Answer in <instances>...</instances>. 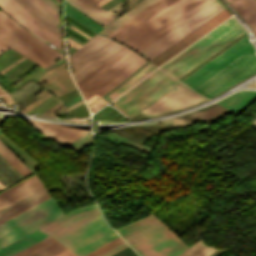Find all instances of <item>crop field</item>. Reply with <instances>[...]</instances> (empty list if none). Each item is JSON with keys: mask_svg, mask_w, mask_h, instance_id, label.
Wrapping results in <instances>:
<instances>
[{"mask_svg": "<svg viewBox=\"0 0 256 256\" xmlns=\"http://www.w3.org/2000/svg\"><path fill=\"white\" fill-rule=\"evenodd\" d=\"M148 108L142 110L149 117L194 105L205 99L203 95L179 83Z\"/></svg>", "mask_w": 256, "mask_h": 256, "instance_id": "crop-field-13", "label": "crop field"}, {"mask_svg": "<svg viewBox=\"0 0 256 256\" xmlns=\"http://www.w3.org/2000/svg\"><path fill=\"white\" fill-rule=\"evenodd\" d=\"M24 119V118H23ZM49 138L67 146L86 131L85 129L25 119Z\"/></svg>", "mask_w": 256, "mask_h": 256, "instance_id": "crop-field-15", "label": "crop field"}, {"mask_svg": "<svg viewBox=\"0 0 256 256\" xmlns=\"http://www.w3.org/2000/svg\"><path fill=\"white\" fill-rule=\"evenodd\" d=\"M4 187L1 183H0V188Z\"/></svg>", "mask_w": 256, "mask_h": 256, "instance_id": "crop-field-46", "label": "crop field"}, {"mask_svg": "<svg viewBox=\"0 0 256 256\" xmlns=\"http://www.w3.org/2000/svg\"><path fill=\"white\" fill-rule=\"evenodd\" d=\"M227 112L229 111L224 109L220 105L214 103L210 106L191 111L190 113L185 114L183 116L164 120L161 122L166 123L173 127H181V126L190 125L200 119L206 122H212Z\"/></svg>", "mask_w": 256, "mask_h": 256, "instance_id": "crop-field-16", "label": "crop field"}, {"mask_svg": "<svg viewBox=\"0 0 256 256\" xmlns=\"http://www.w3.org/2000/svg\"><path fill=\"white\" fill-rule=\"evenodd\" d=\"M64 16L68 17L67 15H64ZM66 17H64V19L68 20V21L71 22L72 24H74V25H76L77 27H79L80 29L84 30V29H83L84 27L81 26L79 23H77V22L75 21L77 24H79V25H80L81 27H83V28H81V27L78 26L76 23H74V22H73V21H74L73 19H72L73 21L70 20V19H71L70 17H68V18H70V19H68V18H66ZM85 29H86V28H85ZM86 30H87V29H86ZM86 30H84V31L93 36V34H91V33L88 32L89 30H88V31H86Z\"/></svg>", "mask_w": 256, "mask_h": 256, "instance_id": "crop-field-40", "label": "crop field"}, {"mask_svg": "<svg viewBox=\"0 0 256 256\" xmlns=\"http://www.w3.org/2000/svg\"><path fill=\"white\" fill-rule=\"evenodd\" d=\"M52 201L51 197L34 205L33 207L17 214L16 216L0 223V227L14 221L15 219L33 211L34 209ZM62 216L61 212L52 202L34 210L33 212L15 220L14 222L0 228V248Z\"/></svg>", "mask_w": 256, "mask_h": 256, "instance_id": "crop-field-7", "label": "crop field"}, {"mask_svg": "<svg viewBox=\"0 0 256 256\" xmlns=\"http://www.w3.org/2000/svg\"><path fill=\"white\" fill-rule=\"evenodd\" d=\"M24 2L32 11L42 17L44 20L48 21L52 26L60 30V24L54 20L49 14L43 11L40 7H38L35 3L31 0H21Z\"/></svg>", "mask_w": 256, "mask_h": 256, "instance_id": "crop-field-30", "label": "crop field"}, {"mask_svg": "<svg viewBox=\"0 0 256 256\" xmlns=\"http://www.w3.org/2000/svg\"><path fill=\"white\" fill-rule=\"evenodd\" d=\"M251 48L246 36L181 82L194 89Z\"/></svg>", "mask_w": 256, "mask_h": 256, "instance_id": "crop-field-12", "label": "crop field"}, {"mask_svg": "<svg viewBox=\"0 0 256 256\" xmlns=\"http://www.w3.org/2000/svg\"><path fill=\"white\" fill-rule=\"evenodd\" d=\"M67 1L69 4H71L72 6H74L75 8H77L79 11L83 12L84 14H86L87 16H89L91 19H93L95 22H97L98 24H100L101 26H106L107 24H105L103 21H101L100 19H98L96 16H94L93 14H91L90 12H88L87 10H85L84 8H82L80 5H78L77 3H75L73 0H65Z\"/></svg>", "mask_w": 256, "mask_h": 256, "instance_id": "crop-field-34", "label": "crop field"}, {"mask_svg": "<svg viewBox=\"0 0 256 256\" xmlns=\"http://www.w3.org/2000/svg\"><path fill=\"white\" fill-rule=\"evenodd\" d=\"M254 73H256V56L254 49H251L194 90L210 98Z\"/></svg>", "mask_w": 256, "mask_h": 256, "instance_id": "crop-field-10", "label": "crop field"}, {"mask_svg": "<svg viewBox=\"0 0 256 256\" xmlns=\"http://www.w3.org/2000/svg\"><path fill=\"white\" fill-rule=\"evenodd\" d=\"M252 24V23H251ZM250 25V24H249ZM250 28L252 29L253 33L255 34L256 36V23L250 25Z\"/></svg>", "mask_w": 256, "mask_h": 256, "instance_id": "crop-field-42", "label": "crop field"}, {"mask_svg": "<svg viewBox=\"0 0 256 256\" xmlns=\"http://www.w3.org/2000/svg\"><path fill=\"white\" fill-rule=\"evenodd\" d=\"M223 9L225 8L217 0H213L138 53L147 60H152Z\"/></svg>", "mask_w": 256, "mask_h": 256, "instance_id": "crop-field-9", "label": "crop field"}, {"mask_svg": "<svg viewBox=\"0 0 256 256\" xmlns=\"http://www.w3.org/2000/svg\"><path fill=\"white\" fill-rule=\"evenodd\" d=\"M145 61L146 60L144 58L139 56L126 69H124L118 76H116L112 81H110L107 85H105L103 88L98 90L96 93L101 96L104 95L106 92H108L109 90L114 88L116 85H118L121 81H123L125 78H127L131 73H133ZM93 95H91L90 97H92ZM90 97H88V98H90Z\"/></svg>", "mask_w": 256, "mask_h": 256, "instance_id": "crop-field-24", "label": "crop field"}, {"mask_svg": "<svg viewBox=\"0 0 256 256\" xmlns=\"http://www.w3.org/2000/svg\"><path fill=\"white\" fill-rule=\"evenodd\" d=\"M121 242H123V241H122L121 238L119 237V238H117V239H115V240H113V241L107 243L106 245H104V246H102V247H100V248L94 250L93 252H91V253H89V254H87V255H85V256H96V255H98V254L104 252L105 250H107V249H109V248H111V247H113V246H115V245H117V244H119V243H121Z\"/></svg>", "mask_w": 256, "mask_h": 256, "instance_id": "crop-field-33", "label": "crop field"}, {"mask_svg": "<svg viewBox=\"0 0 256 256\" xmlns=\"http://www.w3.org/2000/svg\"><path fill=\"white\" fill-rule=\"evenodd\" d=\"M255 100L256 92L240 91L220 100L217 103L221 104L222 106L228 108L229 110L239 115Z\"/></svg>", "mask_w": 256, "mask_h": 256, "instance_id": "crop-field-19", "label": "crop field"}, {"mask_svg": "<svg viewBox=\"0 0 256 256\" xmlns=\"http://www.w3.org/2000/svg\"><path fill=\"white\" fill-rule=\"evenodd\" d=\"M2 97L5 99V101L7 102V104L14 102V101L12 100V98L9 96V94L3 95Z\"/></svg>", "mask_w": 256, "mask_h": 256, "instance_id": "crop-field-41", "label": "crop field"}, {"mask_svg": "<svg viewBox=\"0 0 256 256\" xmlns=\"http://www.w3.org/2000/svg\"><path fill=\"white\" fill-rule=\"evenodd\" d=\"M91 1H93V2H95V3H96V2H98L99 0H91Z\"/></svg>", "mask_w": 256, "mask_h": 256, "instance_id": "crop-field-45", "label": "crop field"}, {"mask_svg": "<svg viewBox=\"0 0 256 256\" xmlns=\"http://www.w3.org/2000/svg\"><path fill=\"white\" fill-rule=\"evenodd\" d=\"M212 0H158L107 37L137 52Z\"/></svg>", "mask_w": 256, "mask_h": 256, "instance_id": "crop-field-1", "label": "crop field"}, {"mask_svg": "<svg viewBox=\"0 0 256 256\" xmlns=\"http://www.w3.org/2000/svg\"><path fill=\"white\" fill-rule=\"evenodd\" d=\"M243 32L245 31L239 23L231 17L169 62L161 65L160 69L178 79Z\"/></svg>", "mask_w": 256, "mask_h": 256, "instance_id": "crop-field-4", "label": "crop field"}, {"mask_svg": "<svg viewBox=\"0 0 256 256\" xmlns=\"http://www.w3.org/2000/svg\"><path fill=\"white\" fill-rule=\"evenodd\" d=\"M45 193H47V192H46L45 189L43 188V189H41V190H39V191H37V192H35V193L29 195L28 197H26V198H24V199H22V200H20V201H18V202H16V203H14L13 205H11V206H9V207H7V208L1 210V211H0V217L3 216V215H5V214H7V213H9V212H11V211H13L14 209H16V208H18V207H20V206H22V205H24V204L30 202L31 200H33V199H35V198H37V197H39V196H41V195H43V194H45ZM47 196H49V195H48V194H45V195H43V196H41V197H39V198H37V199L31 201L30 203H28V204H26V205H24V206H22V207H20V208H18V209H16V210H14L13 212H11V213H9V214H7V215L1 217V218H0V221L3 220V219H5V218H7V217H9V216L12 215V214L18 212V211H20V210H22V209H24V208L30 206L31 204H33V203H35V202H37V201H39V200H41V199L47 197ZM49 197H50V196H49ZM47 198H48V197H47ZM45 199H46V198H45ZM43 200H44V199H43ZM41 201H42V200H41ZM39 202H40V201H39ZM37 203H38V202H37ZM35 204H36V203H35ZM33 205H34V204H33ZM33 205H31V206H33ZM31 206H30V207H31ZM28 208H29V207H28ZM26 209H27V208H26ZM24 210H25V209H24ZM22 211H23V210H22ZM20 212H21V211H20ZM18 213H19V212H18ZM16 214H17V213H16ZM16 214H14V215H16ZM14 215H12V216H14ZM12 216H10V217H12ZM10 217H9V218H10ZM7 219H8V218H7ZM5 220H6V219H5ZM3 221H4V220H3ZM1 222H2V221H1Z\"/></svg>", "mask_w": 256, "mask_h": 256, "instance_id": "crop-field-21", "label": "crop field"}, {"mask_svg": "<svg viewBox=\"0 0 256 256\" xmlns=\"http://www.w3.org/2000/svg\"><path fill=\"white\" fill-rule=\"evenodd\" d=\"M5 93H7V92L0 86V94L3 95Z\"/></svg>", "mask_w": 256, "mask_h": 256, "instance_id": "crop-field-43", "label": "crop field"}, {"mask_svg": "<svg viewBox=\"0 0 256 256\" xmlns=\"http://www.w3.org/2000/svg\"><path fill=\"white\" fill-rule=\"evenodd\" d=\"M126 246H128V245L123 242V243H121V244H119V245H117V246H115V247L105 251L104 253H102V254H100L98 256H110L111 254L119 251L120 249H122V248H124Z\"/></svg>", "mask_w": 256, "mask_h": 256, "instance_id": "crop-field-36", "label": "crop field"}, {"mask_svg": "<svg viewBox=\"0 0 256 256\" xmlns=\"http://www.w3.org/2000/svg\"><path fill=\"white\" fill-rule=\"evenodd\" d=\"M7 48L14 49L43 68L55 63L53 58L65 57L0 11V54Z\"/></svg>", "mask_w": 256, "mask_h": 256, "instance_id": "crop-field-5", "label": "crop field"}, {"mask_svg": "<svg viewBox=\"0 0 256 256\" xmlns=\"http://www.w3.org/2000/svg\"><path fill=\"white\" fill-rule=\"evenodd\" d=\"M177 83V80L156 69L111 103L129 117L151 104Z\"/></svg>", "mask_w": 256, "mask_h": 256, "instance_id": "crop-field-6", "label": "crop field"}, {"mask_svg": "<svg viewBox=\"0 0 256 256\" xmlns=\"http://www.w3.org/2000/svg\"><path fill=\"white\" fill-rule=\"evenodd\" d=\"M65 30L67 31V33L71 34L72 36L76 37L77 39H79L82 42H87V40H85L84 38L78 36L77 34L73 33L72 31H70L69 29L65 28Z\"/></svg>", "mask_w": 256, "mask_h": 256, "instance_id": "crop-field-38", "label": "crop field"}, {"mask_svg": "<svg viewBox=\"0 0 256 256\" xmlns=\"http://www.w3.org/2000/svg\"><path fill=\"white\" fill-rule=\"evenodd\" d=\"M40 230L57 238L78 256L119 237L105 224L96 205L78 209Z\"/></svg>", "mask_w": 256, "mask_h": 256, "instance_id": "crop-field-2", "label": "crop field"}, {"mask_svg": "<svg viewBox=\"0 0 256 256\" xmlns=\"http://www.w3.org/2000/svg\"><path fill=\"white\" fill-rule=\"evenodd\" d=\"M65 249L67 248L49 236L13 256H53Z\"/></svg>", "mask_w": 256, "mask_h": 256, "instance_id": "crop-field-18", "label": "crop field"}, {"mask_svg": "<svg viewBox=\"0 0 256 256\" xmlns=\"http://www.w3.org/2000/svg\"><path fill=\"white\" fill-rule=\"evenodd\" d=\"M247 24L256 22V0H227Z\"/></svg>", "mask_w": 256, "mask_h": 256, "instance_id": "crop-field-22", "label": "crop field"}, {"mask_svg": "<svg viewBox=\"0 0 256 256\" xmlns=\"http://www.w3.org/2000/svg\"><path fill=\"white\" fill-rule=\"evenodd\" d=\"M115 230L140 256H173L188 249L152 214Z\"/></svg>", "mask_w": 256, "mask_h": 256, "instance_id": "crop-field-3", "label": "crop field"}, {"mask_svg": "<svg viewBox=\"0 0 256 256\" xmlns=\"http://www.w3.org/2000/svg\"><path fill=\"white\" fill-rule=\"evenodd\" d=\"M0 8L7 12L11 17H13L17 22L23 25L34 35H36L44 41L47 40L52 45L62 50L60 37L53 33L51 30H49L48 28H46L36 19L31 17L25 11H23L12 0H0Z\"/></svg>", "mask_w": 256, "mask_h": 256, "instance_id": "crop-field-14", "label": "crop field"}, {"mask_svg": "<svg viewBox=\"0 0 256 256\" xmlns=\"http://www.w3.org/2000/svg\"><path fill=\"white\" fill-rule=\"evenodd\" d=\"M59 2V0H57Z\"/></svg>", "mask_w": 256, "mask_h": 256, "instance_id": "crop-field-47", "label": "crop field"}, {"mask_svg": "<svg viewBox=\"0 0 256 256\" xmlns=\"http://www.w3.org/2000/svg\"><path fill=\"white\" fill-rule=\"evenodd\" d=\"M23 10H25L26 12H28L30 15H32L33 17H35L37 20H39L41 23H43L45 26H47L49 29H51L52 31H54L55 33H57L59 36H61L60 31H58L57 29H55L54 27H52L50 24H48L46 21H44L43 19H41L39 16H37L35 13H33L24 3H22L20 0H14Z\"/></svg>", "mask_w": 256, "mask_h": 256, "instance_id": "crop-field-32", "label": "crop field"}, {"mask_svg": "<svg viewBox=\"0 0 256 256\" xmlns=\"http://www.w3.org/2000/svg\"><path fill=\"white\" fill-rule=\"evenodd\" d=\"M91 142H92L91 135L88 131L84 135H82L80 138L75 140L73 143H71L70 145L68 144L69 145L68 147L76 151H80L86 146H88L89 144H91Z\"/></svg>", "mask_w": 256, "mask_h": 256, "instance_id": "crop-field-31", "label": "crop field"}, {"mask_svg": "<svg viewBox=\"0 0 256 256\" xmlns=\"http://www.w3.org/2000/svg\"><path fill=\"white\" fill-rule=\"evenodd\" d=\"M65 13H67L68 15H70L71 17H73L74 19H76L77 21H79L96 33L103 28L97 23L89 20L90 18L88 19L86 16H84L81 12L69 5L67 2H65Z\"/></svg>", "mask_w": 256, "mask_h": 256, "instance_id": "crop-field-27", "label": "crop field"}, {"mask_svg": "<svg viewBox=\"0 0 256 256\" xmlns=\"http://www.w3.org/2000/svg\"><path fill=\"white\" fill-rule=\"evenodd\" d=\"M155 1L156 0H143L138 5L132 7L124 15L122 14L123 16H121L120 18L115 20L113 23H111L109 26H107L105 29H103L99 33H101V34H103L105 36L108 35L110 32H112L113 30L118 28L120 25H122L123 23L128 21L130 18H132L133 16L138 14L140 11H142L143 9H145L146 7H148L150 4H152Z\"/></svg>", "mask_w": 256, "mask_h": 256, "instance_id": "crop-field-23", "label": "crop field"}, {"mask_svg": "<svg viewBox=\"0 0 256 256\" xmlns=\"http://www.w3.org/2000/svg\"><path fill=\"white\" fill-rule=\"evenodd\" d=\"M123 45L116 41L94 35L86 44L70 55L72 76L76 81L102 64Z\"/></svg>", "mask_w": 256, "mask_h": 256, "instance_id": "crop-field-8", "label": "crop field"}, {"mask_svg": "<svg viewBox=\"0 0 256 256\" xmlns=\"http://www.w3.org/2000/svg\"><path fill=\"white\" fill-rule=\"evenodd\" d=\"M42 1H44L48 6H50L58 14L60 13V7L54 4L51 0H42Z\"/></svg>", "mask_w": 256, "mask_h": 256, "instance_id": "crop-field-37", "label": "crop field"}, {"mask_svg": "<svg viewBox=\"0 0 256 256\" xmlns=\"http://www.w3.org/2000/svg\"><path fill=\"white\" fill-rule=\"evenodd\" d=\"M55 256H76L75 254H73L71 251H69L68 249L55 255Z\"/></svg>", "mask_w": 256, "mask_h": 256, "instance_id": "crop-field-39", "label": "crop field"}, {"mask_svg": "<svg viewBox=\"0 0 256 256\" xmlns=\"http://www.w3.org/2000/svg\"><path fill=\"white\" fill-rule=\"evenodd\" d=\"M252 127L256 128V121L254 122V124L252 125Z\"/></svg>", "mask_w": 256, "mask_h": 256, "instance_id": "crop-field-44", "label": "crop field"}, {"mask_svg": "<svg viewBox=\"0 0 256 256\" xmlns=\"http://www.w3.org/2000/svg\"><path fill=\"white\" fill-rule=\"evenodd\" d=\"M74 1H76L82 7H84L85 9H87L88 11L96 15L98 18H100L107 24L115 19L105 10L99 8L96 4L92 3L90 0H74Z\"/></svg>", "mask_w": 256, "mask_h": 256, "instance_id": "crop-field-28", "label": "crop field"}, {"mask_svg": "<svg viewBox=\"0 0 256 256\" xmlns=\"http://www.w3.org/2000/svg\"><path fill=\"white\" fill-rule=\"evenodd\" d=\"M46 12H48L51 16H53L59 22V15L55 13L50 7H48L44 2L41 0H32Z\"/></svg>", "mask_w": 256, "mask_h": 256, "instance_id": "crop-field-35", "label": "crop field"}, {"mask_svg": "<svg viewBox=\"0 0 256 256\" xmlns=\"http://www.w3.org/2000/svg\"><path fill=\"white\" fill-rule=\"evenodd\" d=\"M139 55L122 47L107 61L77 83L84 99L107 84Z\"/></svg>", "mask_w": 256, "mask_h": 256, "instance_id": "crop-field-11", "label": "crop field"}, {"mask_svg": "<svg viewBox=\"0 0 256 256\" xmlns=\"http://www.w3.org/2000/svg\"><path fill=\"white\" fill-rule=\"evenodd\" d=\"M216 248L208 247L202 244L199 240L192 247H190L184 253L177 256H208L211 254Z\"/></svg>", "mask_w": 256, "mask_h": 256, "instance_id": "crop-field-29", "label": "crop field"}, {"mask_svg": "<svg viewBox=\"0 0 256 256\" xmlns=\"http://www.w3.org/2000/svg\"><path fill=\"white\" fill-rule=\"evenodd\" d=\"M0 154L22 175L32 172L3 142L0 141Z\"/></svg>", "mask_w": 256, "mask_h": 256, "instance_id": "crop-field-26", "label": "crop field"}, {"mask_svg": "<svg viewBox=\"0 0 256 256\" xmlns=\"http://www.w3.org/2000/svg\"><path fill=\"white\" fill-rule=\"evenodd\" d=\"M48 235L36 230L23 238L9 244L8 246L0 249V256H11L16 252L32 245L33 243L47 237Z\"/></svg>", "mask_w": 256, "mask_h": 256, "instance_id": "crop-field-20", "label": "crop field"}, {"mask_svg": "<svg viewBox=\"0 0 256 256\" xmlns=\"http://www.w3.org/2000/svg\"><path fill=\"white\" fill-rule=\"evenodd\" d=\"M155 69V66L152 64L146 65L143 69H141L137 74H135L132 78H130L127 82H125L122 86H120L118 89H116L114 92H112L110 95H108L106 98L107 101H112L114 98L119 96L121 93H123L125 90L136 84L138 81H140L142 78H144L146 75H148L151 71Z\"/></svg>", "mask_w": 256, "mask_h": 256, "instance_id": "crop-field-25", "label": "crop field"}, {"mask_svg": "<svg viewBox=\"0 0 256 256\" xmlns=\"http://www.w3.org/2000/svg\"><path fill=\"white\" fill-rule=\"evenodd\" d=\"M43 188L36 175L0 193V210Z\"/></svg>", "mask_w": 256, "mask_h": 256, "instance_id": "crop-field-17", "label": "crop field"}]
</instances>
